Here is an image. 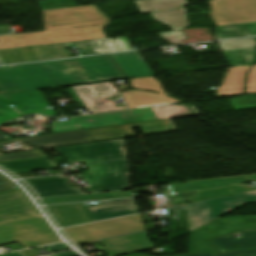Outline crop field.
<instances>
[{
	"label": "crop field",
	"instance_id": "crop-field-5",
	"mask_svg": "<svg viewBox=\"0 0 256 256\" xmlns=\"http://www.w3.org/2000/svg\"><path fill=\"white\" fill-rule=\"evenodd\" d=\"M146 230L137 215L65 229L76 244H90L98 239Z\"/></svg>",
	"mask_w": 256,
	"mask_h": 256
},
{
	"label": "crop field",
	"instance_id": "crop-field-25",
	"mask_svg": "<svg viewBox=\"0 0 256 256\" xmlns=\"http://www.w3.org/2000/svg\"><path fill=\"white\" fill-rule=\"evenodd\" d=\"M243 37L238 25L216 27V40Z\"/></svg>",
	"mask_w": 256,
	"mask_h": 256
},
{
	"label": "crop field",
	"instance_id": "crop-field-7",
	"mask_svg": "<svg viewBox=\"0 0 256 256\" xmlns=\"http://www.w3.org/2000/svg\"><path fill=\"white\" fill-rule=\"evenodd\" d=\"M256 201V191L188 204L189 231L200 227L238 206Z\"/></svg>",
	"mask_w": 256,
	"mask_h": 256
},
{
	"label": "crop field",
	"instance_id": "crop-field-31",
	"mask_svg": "<svg viewBox=\"0 0 256 256\" xmlns=\"http://www.w3.org/2000/svg\"><path fill=\"white\" fill-rule=\"evenodd\" d=\"M40 248H45V249H47L51 253L59 252V251L68 250L69 249L63 243L55 244V245H50V246H45V247H40Z\"/></svg>",
	"mask_w": 256,
	"mask_h": 256
},
{
	"label": "crop field",
	"instance_id": "crop-field-1",
	"mask_svg": "<svg viewBox=\"0 0 256 256\" xmlns=\"http://www.w3.org/2000/svg\"><path fill=\"white\" fill-rule=\"evenodd\" d=\"M122 78L125 76L108 55L0 67V88L7 93Z\"/></svg>",
	"mask_w": 256,
	"mask_h": 256
},
{
	"label": "crop field",
	"instance_id": "crop-field-13",
	"mask_svg": "<svg viewBox=\"0 0 256 256\" xmlns=\"http://www.w3.org/2000/svg\"><path fill=\"white\" fill-rule=\"evenodd\" d=\"M40 198L82 193L80 188H72L63 176H51L25 180ZM28 184V185H29Z\"/></svg>",
	"mask_w": 256,
	"mask_h": 256
},
{
	"label": "crop field",
	"instance_id": "crop-field-21",
	"mask_svg": "<svg viewBox=\"0 0 256 256\" xmlns=\"http://www.w3.org/2000/svg\"><path fill=\"white\" fill-rule=\"evenodd\" d=\"M125 197H134L133 191L120 192V193H99V194L61 197V198H49V199H43V201L45 205H49V204L84 201V200H104V199L125 198Z\"/></svg>",
	"mask_w": 256,
	"mask_h": 256
},
{
	"label": "crop field",
	"instance_id": "crop-field-2",
	"mask_svg": "<svg viewBox=\"0 0 256 256\" xmlns=\"http://www.w3.org/2000/svg\"><path fill=\"white\" fill-rule=\"evenodd\" d=\"M45 32L0 36V49L105 39L110 23L96 6L43 11Z\"/></svg>",
	"mask_w": 256,
	"mask_h": 256
},
{
	"label": "crop field",
	"instance_id": "crop-field-35",
	"mask_svg": "<svg viewBox=\"0 0 256 256\" xmlns=\"http://www.w3.org/2000/svg\"><path fill=\"white\" fill-rule=\"evenodd\" d=\"M54 256H78V255L75 254L73 251H71V252H62L59 254H54Z\"/></svg>",
	"mask_w": 256,
	"mask_h": 256
},
{
	"label": "crop field",
	"instance_id": "crop-field-22",
	"mask_svg": "<svg viewBox=\"0 0 256 256\" xmlns=\"http://www.w3.org/2000/svg\"><path fill=\"white\" fill-rule=\"evenodd\" d=\"M189 107L194 112L195 115H201L194 107H191V106H189ZM152 109L156 113L159 120L166 119V118L193 116L186 105H181V106H173V105L155 106V107H152Z\"/></svg>",
	"mask_w": 256,
	"mask_h": 256
},
{
	"label": "crop field",
	"instance_id": "crop-field-4",
	"mask_svg": "<svg viewBox=\"0 0 256 256\" xmlns=\"http://www.w3.org/2000/svg\"><path fill=\"white\" fill-rule=\"evenodd\" d=\"M17 241L23 247L59 242L42 216L0 226V245Z\"/></svg>",
	"mask_w": 256,
	"mask_h": 256
},
{
	"label": "crop field",
	"instance_id": "crop-field-6",
	"mask_svg": "<svg viewBox=\"0 0 256 256\" xmlns=\"http://www.w3.org/2000/svg\"><path fill=\"white\" fill-rule=\"evenodd\" d=\"M248 182H250L248 177L244 176L220 180L190 182L185 184L177 183L169 185V189L171 191L172 200L175 206L183 204L185 199H187L190 203H193L231 195L232 193L227 187Z\"/></svg>",
	"mask_w": 256,
	"mask_h": 256
},
{
	"label": "crop field",
	"instance_id": "crop-field-39",
	"mask_svg": "<svg viewBox=\"0 0 256 256\" xmlns=\"http://www.w3.org/2000/svg\"><path fill=\"white\" fill-rule=\"evenodd\" d=\"M3 138H7V136L2 134V133H0V139H3Z\"/></svg>",
	"mask_w": 256,
	"mask_h": 256
},
{
	"label": "crop field",
	"instance_id": "crop-field-32",
	"mask_svg": "<svg viewBox=\"0 0 256 256\" xmlns=\"http://www.w3.org/2000/svg\"><path fill=\"white\" fill-rule=\"evenodd\" d=\"M77 49L79 50L81 56H87V55H91L89 49L87 48L85 42H79V43H75Z\"/></svg>",
	"mask_w": 256,
	"mask_h": 256
},
{
	"label": "crop field",
	"instance_id": "crop-field-36",
	"mask_svg": "<svg viewBox=\"0 0 256 256\" xmlns=\"http://www.w3.org/2000/svg\"><path fill=\"white\" fill-rule=\"evenodd\" d=\"M0 256H23V255L20 252H16V253H9V254H4Z\"/></svg>",
	"mask_w": 256,
	"mask_h": 256
},
{
	"label": "crop field",
	"instance_id": "crop-field-3",
	"mask_svg": "<svg viewBox=\"0 0 256 256\" xmlns=\"http://www.w3.org/2000/svg\"><path fill=\"white\" fill-rule=\"evenodd\" d=\"M54 149L70 162H85L103 191L130 189L125 139Z\"/></svg>",
	"mask_w": 256,
	"mask_h": 256
},
{
	"label": "crop field",
	"instance_id": "crop-field-12",
	"mask_svg": "<svg viewBox=\"0 0 256 256\" xmlns=\"http://www.w3.org/2000/svg\"><path fill=\"white\" fill-rule=\"evenodd\" d=\"M18 140L27 143L35 148L93 141L87 130H80L53 135H43L31 138L12 139L0 143V146Z\"/></svg>",
	"mask_w": 256,
	"mask_h": 256
},
{
	"label": "crop field",
	"instance_id": "crop-field-15",
	"mask_svg": "<svg viewBox=\"0 0 256 256\" xmlns=\"http://www.w3.org/2000/svg\"><path fill=\"white\" fill-rule=\"evenodd\" d=\"M113 255L147 250L156 247L149 241L147 232L116 237L99 242Z\"/></svg>",
	"mask_w": 256,
	"mask_h": 256
},
{
	"label": "crop field",
	"instance_id": "crop-field-14",
	"mask_svg": "<svg viewBox=\"0 0 256 256\" xmlns=\"http://www.w3.org/2000/svg\"><path fill=\"white\" fill-rule=\"evenodd\" d=\"M85 208L92 221L140 212L134 199L100 202Z\"/></svg>",
	"mask_w": 256,
	"mask_h": 256
},
{
	"label": "crop field",
	"instance_id": "crop-field-29",
	"mask_svg": "<svg viewBox=\"0 0 256 256\" xmlns=\"http://www.w3.org/2000/svg\"><path fill=\"white\" fill-rule=\"evenodd\" d=\"M14 189L20 188L0 174V193Z\"/></svg>",
	"mask_w": 256,
	"mask_h": 256
},
{
	"label": "crop field",
	"instance_id": "crop-field-9",
	"mask_svg": "<svg viewBox=\"0 0 256 256\" xmlns=\"http://www.w3.org/2000/svg\"><path fill=\"white\" fill-rule=\"evenodd\" d=\"M39 215L21 190L0 194V225Z\"/></svg>",
	"mask_w": 256,
	"mask_h": 256
},
{
	"label": "crop field",
	"instance_id": "crop-field-20",
	"mask_svg": "<svg viewBox=\"0 0 256 256\" xmlns=\"http://www.w3.org/2000/svg\"><path fill=\"white\" fill-rule=\"evenodd\" d=\"M93 54L103 53V52H120L132 50L128 41L125 37L117 38V40L105 39L96 41H87Z\"/></svg>",
	"mask_w": 256,
	"mask_h": 256
},
{
	"label": "crop field",
	"instance_id": "crop-field-18",
	"mask_svg": "<svg viewBox=\"0 0 256 256\" xmlns=\"http://www.w3.org/2000/svg\"><path fill=\"white\" fill-rule=\"evenodd\" d=\"M211 242L221 251L256 249V231H244L240 238L232 235L211 240Z\"/></svg>",
	"mask_w": 256,
	"mask_h": 256
},
{
	"label": "crop field",
	"instance_id": "crop-field-23",
	"mask_svg": "<svg viewBox=\"0 0 256 256\" xmlns=\"http://www.w3.org/2000/svg\"><path fill=\"white\" fill-rule=\"evenodd\" d=\"M255 48L223 52L230 67L249 65L253 62Z\"/></svg>",
	"mask_w": 256,
	"mask_h": 256
},
{
	"label": "crop field",
	"instance_id": "crop-field-38",
	"mask_svg": "<svg viewBox=\"0 0 256 256\" xmlns=\"http://www.w3.org/2000/svg\"><path fill=\"white\" fill-rule=\"evenodd\" d=\"M252 182L256 181V174L250 175Z\"/></svg>",
	"mask_w": 256,
	"mask_h": 256
},
{
	"label": "crop field",
	"instance_id": "crop-field-40",
	"mask_svg": "<svg viewBox=\"0 0 256 256\" xmlns=\"http://www.w3.org/2000/svg\"><path fill=\"white\" fill-rule=\"evenodd\" d=\"M0 98L4 99L2 96H0Z\"/></svg>",
	"mask_w": 256,
	"mask_h": 256
},
{
	"label": "crop field",
	"instance_id": "crop-field-33",
	"mask_svg": "<svg viewBox=\"0 0 256 256\" xmlns=\"http://www.w3.org/2000/svg\"><path fill=\"white\" fill-rule=\"evenodd\" d=\"M229 189L233 194L256 190V189H246L243 185L230 187Z\"/></svg>",
	"mask_w": 256,
	"mask_h": 256
},
{
	"label": "crop field",
	"instance_id": "crop-field-10",
	"mask_svg": "<svg viewBox=\"0 0 256 256\" xmlns=\"http://www.w3.org/2000/svg\"><path fill=\"white\" fill-rule=\"evenodd\" d=\"M90 114L116 111L101 99L118 97L111 82L72 87Z\"/></svg>",
	"mask_w": 256,
	"mask_h": 256
},
{
	"label": "crop field",
	"instance_id": "crop-field-41",
	"mask_svg": "<svg viewBox=\"0 0 256 256\" xmlns=\"http://www.w3.org/2000/svg\"><path fill=\"white\" fill-rule=\"evenodd\" d=\"M0 91H1V89H0Z\"/></svg>",
	"mask_w": 256,
	"mask_h": 256
},
{
	"label": "crop field",
	"instance_id": "crop-field-27",
	"mask_svg": "<svg viewBox=\"0 0 256 256\" xmlns=\"http://www.w3.org/2000/svg\"><path fill=\"white\" fill-rule=\"evenodd\" d=\"M75 178L77 179H83L85 180L88 185L90 187H85L86 188V193H91V192H99L102 191V189L100 188L99 184L97 183V181L95 180L94 176L92 175V173H86V174H76L73 175ZM96 182H93V181Z\"/></svg>",
	"mask_w": 256,
	"mask_h": 256
},
{
	"label": "crop field",
	"instance_id": "crop-field-30",
	"mask_svg": "<svg viewBox=\"0 0 256 256\" xmlns=\"http://www.w3.org/2000/svg\"><path fill=\"white\" fill-rule=\"evenodd\" d=\"M245 37L256 36V23L240 25Z\"/></svg>",
	"mask_w": 256,
	"mask_h": 256
},
{
	"label": "crop field",
	"instance_id": "crop-field-24",
	"mask_svg": "<svg viewBox=\"0 0 256 256\" xmlns=\"http://www.w3.org/2000/svg\"><path fill=\"white\" fill-rule=\"evenodd\" d=\"M235 111L256 109V94L230 100Z\"/></svg>",
	"mask_w": 256,
	"mask_h": 256
},
{
	"label": "crop field",
	"instance_id": "crop-field-28",
	"mask_svg": "<svg viewBox=\"0 0 256 256\" xmlns=\"http://www.w3.org/2000/svg\"><path fill=\"white\" fill-rule=\"evenodd\" d=\"M183 256H256V250L230 251L221 255L197 254V255H183Z\"/></svg>",
	"mask_w": 256,
	"mask_h": 256
},
{
	"label": "crop field",
	"instance_id": "crop-field-17",
	"mask_svg": "<svg viewBox=\"0 0 256 256\" xmlns=\"http://www.w3.org/2000/svg\"><path fill=\"white\" fill-rule=\"evenodd\" d=\"M47 208L61 227L91 221L82 203L56 205Z\"/></svg>",
	"mask_w": 256,
	"mask_h": 256
},
{
	"label": "crop field",
	"instance_id": "crop-field-16",
	"mask_svg": "<svg viewBox=\"0 0 256 256\" xmlns=\"http://www.w3.org/2000/svg\"><path fill=\"white\" fill-rule=\"evenodd\" d=\"M110 56L128 79L155 76L137 52L113 54Z\"/></svg>",
	"mask_w": 256,
	"mask_h": 256
},
{
	"label": "crop field",
	"instance_id": "crop-field-26",
	"mask_svg": "<svg viewBox=\"0 0 256 256\" xmlns=\"http://www.w3.org/2000/svg\"><path fill=\"white\" fill-rule=\"evenodd\" d=\"M46 157L40 150L0 156V162Z\"/></svg>",
	"mask_w": 256,
	"mask_h": 256
},
{
	"label": "crop field",
	"instance_id": "crop-field-34",
	"mask_svg": "<svg viewBox=\"0 0 256 256\" xmlns=\"http://www.w3.org/2000/svg\"><path fill=\"white\" fill-rule=\"evenodd\" d=\"M10 30L7 25H0V34H8Z\"/></svg>",
	"mask_w": 256,
	"mask_h": 256
},
{
	"label": "crop field",
	"instance_id": "crop-field-37",
	"mask_svg": "<svg viewBox=\"0 0 256 256\" xmlns=\"http://www.w3.org/2000/svg\"><path fill=\"white\" fill-rule=\"evenodd\" d=\"M105 102H107V103H109L110 105H112V106H114L113 104H112V102L109 100V99H106V100H104ZM115 107V106H114ZM115 108H117V109H119V110H121V109H126V108H123V107H115Z\"/></svg>",
	"mask_w": 256,
	"mask_h": 256
},
{
	"label": "crop field",
	"instance_id": "crop-field-19",
	"mask_svg": "<svg viewBox=\"0 0 256 256\" xmlns=\"http://www.w3.org/2000/svg\"><path fill=\"white\" fill-rule=\"evenodd\" d=\"M0 166L13 172H28L35 170H48L57 168L48 158L0 163Z\"/></svg>",
	"mask_w": 256,
	"mask_h": 256
},
{
	"label": "crop field",
	"instance_id": "crop-field-11",
	"mask_svg": "<svg viewBox=\"0 0 256 256\" xmlns=\"http://www.w3.org/2000/svg\"><path fill=\"white\" fill-rule=\"evenodd\" d=\"M136 127H141L145 135L176 131V128L170 119H166L155 122L91 129L89 132L94 141H98L134 136L131 128Z\"/></svg>",
	"mask_w": 256,
	"mask_h": 256
},
{
	"label": "crop field",
	"instance_id": "crop-field-8",
	"mask_svg": "<svg viewBox=\"0 0 256 256\" xmlns=\"http://www.w3.org/2000/svg\"><path fill=\"white\" fill-rule=\"evenodd\" d=\"M4 65L70 57L64 44L0 50Z\"/></svg>",
	"mask_w": 256,
	"mask_h": 256
}]
</instances>
